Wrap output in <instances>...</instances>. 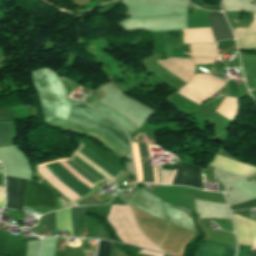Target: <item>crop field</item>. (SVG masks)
Returning a JSON list of instances; mask_svg holds the SVG:
<instances>
[{
	"mask_svg": "<svg viewBox=\"0 0 256 256\" xmlns=\"http://www.w3.org/2000/svg\"><path fill=\"white\" fill-rule=\"evenodd\" d=\"M253 16H254V20L248 28H235L234 35L236 38L244 36L249 33L256 32V13H253Z\"/></svg>",
	"mask_w": 256,
	"mask_h": 256,
	"instance_id": "obj_24",
	"label": "crop field"
},
{
	"mask_svg": "<svg viewBox=\"0 0 256 256\" xmlns=\"http://www.w3.org/2000/svg\"><path fill=\"white\" fill-rule=\"evenodd\" d=\"M226 82L210 74L194 75L192 80L177 92L200 104L206 98L220 90Z\"/></svg>",
	"mask_w": 256,
	"mask_h": 256,
	"instance_id": "obj_5",
	"label": "crop field"
},
{
	"mask_svg": "<svg viewBox=\"0 0 256 256\" xmlns=\"http://www.w3.org/2000/svg\"><path fill=\"white\" fill-rule=\"evenodd\" d=\"M57 230H69L70 236L72 234V226L70 219V208L55 211ZM54 212L44 215L46 230H56Z\"/></svg>",
	"mask_w": 256,
	"mask_h": 256,
	"instance_id": "obj_12",
	"label": "crop field"
},
{
	"mask_svg": "<svg viewBox=\"0 0 256 256\" xmlns=\"http://www.w3.org/2000/svg\"><path fill=\"white\" fill-rule=\"evenodd\" d=\"M192 61L195 64H212L213 63V59H199V58H193Z\"/></svg>",
	"mask_w": 256,
	"mask_h": 256,
	"instance_id": "obj_27",
	"label": "crop field"
},
{
	"mask_svg": "<svg viewBox=\"0 0 256 256\" xmlns=\"http://www.w3.org/2000/svg\"><path fill=\"white\" fill-rule=\"evenodd\" d=\"M238 243L252 245L256 238V221L233 215Z\"/></svg>",
	"mask_w": 256,
	"mask_h": 256,
	"instance_id": "obj_11",
	"label": "crop field"
},
{
	"mask_svg": "<svg viewBox=\"0 0 256 256\" xmlns=\"http://www.w3.org/2000/svg\"><path fill=\"white\" fill-rule=\"evenodd\" d=\"M208 17L215 41L233 38L222 13L212 12V15H208Z\"/></svg>",
	"mask_w": 256,
	"mask_h": 256,
	"instance_id": "obj_14",
	"label": "crop field"
},
{
	"mask_svg": "<svg viewBox=\"0 0 256 256\" xmlns=\"http://www.w3.org/2000/svg\"><path fill=\"white\" fill-rule=\"evenodd\" d=\"M63 164L71 168L73 171L81 175L83 178L91 182L93 185H96L97 182L94 178H92L89 174H87L84 170L78 168L75 164H73L69 160H61ZM59 161L51 162L43 164L50 170H52L54 173H56L58 176L63 178L65 181L70 183L72 186H74L76 189L81 191L83 194H88L92 190L93 186L91 183L83 179L81 176L73 172L71 169L63 165ZM38 172L56 189L61 191L63 194L68 196L73 202L79 200L80 198L84 197L74 189H72L70 186L62 182L60 179L55 177L53 174L45 170L43 167L39 166L37 168Z\"/></svg>",
	"mask_w": 256,
	"mask_h": 256,
	"instance_id": "obj_2",
	"label": "crop field"
},
{
	"mask_svg": "<svg viewBox=\"0 0 256 256\" xmlns=\"http://www.w3.org/2000/svg\"><path fill=\"white\" fill-rule=\"evenodd\" d=\"M23 205L28 208L42 205L55 210L56 193L39 183L27 180Z\"/></svg>",
	"mask_w": 256,
	"mask_h": 256,
	"instance_id": "obj_6",
	"label": "crop field"
},
{
	"mask_svg": "<svg viewBox=\"0 0 256 256\" xmlns=\"http://www.w3.org/2000/svg\"><path fill=\"white\" fill-rule=\"evenodd\" d=\"M77 151H79L81 154H83L85 157H87L89 160L94 162L96 165H98L100 168L105 170L110 175L117 169L116 167L106 162L104 159L98 156L95 152H93L91 149L87 148L84 145H81V147ZM70 160L73 161L78 166H80L81 168H83L88 173H90L96 179L100 180L103 178L100 174H98L93 169L88 167L86 164H84L82 161L77 159L75 156L72 155Z\"/></svg>",
	"mask_w": 256,
	"mask_h": 256,
	"instance_id": "obj_8",
	"label": "crop field"
},
{
	"mask_svg": "<svg viewBox=\"0 0 256 256\" xmlns=\"http://www.w3.org/2000/svg\"><path fill=\"white\" fill-rule=\"evenodd\" d=\"M138 253H142V254H146V255H150V256H163V255L152 253V252L145 251V250L138 251ZM138 253H137V256H146V255H142V254H138Z\"/></svg>",
	"mask_w": 256,
	"mask_h": 256,
	"instance_id": "obj_29",
	"label": "crop field"
},
{
	"mask_svg": "<svg viewBox=\"0 0 256 256\" xmlns=\"http://www.w3.org/2000/svg\"><path fill=\"white\" fill-rule=\"evenodd\" d=\"M199 169V167L180 162L172 185H187L200 189Z\"/></svg>",
	"mask_w": 256,
	"mask_h": 256,
	"instance_id": "obj_10",
	"label": "crop field"
},
{
	"mask_svg": "<svg viewBox=\"0 0 256 256\" xmlns=\"http://www.w3.org/2000/svg\"><path fill=\"white\" fill-rule=\"evenodd\" d=\"M238 48H256V34L237 39Z\"/></svg>",
	"mask_w": 256,
	"mask_h": 256,
	"instance_id": "obj_23",
	"label": "crop field"
},
{
	"mask_svg": "<svg viewBox=\"0 0 256 256\" xmlns=\"http://www.w3.org/2000/svg\"><path fill=\"white\" fill-rule=\"evenodd\" d=\"M44 71L45 82L50 90L56 115L58 118L67 120L72 106V101L71 99L67 98L65 90L60 83V81H64L65 79L58 77L54 71L48 68L44 67ZM31 80L39 98L44 121L47 122L55 118L56 116L49 90L44 82L43 68L32 71ZM58 118L46 124L92 136L93 138L100 141L105 146V148L114 152L122 158L130 153V151H128L130 150L128 137L126 136L124 131H122L118 125L114 124L108 118L104 117L86 104L82 107L73 105L68 120L97 128L105 132L111 138L115 139L118 143H120L124 148L128 150L124 149L115 140L111 139L106 134L97 129Z\"/></svg>",
	"mask_w": 256,
	"mask_h": 256,
	"instance_id": "obj_1",
	"label": "crop field"
},
{
	"mask_svg": "<svg viewBox=\"0 0 256 256\" xmlns=\"http://www.w3.org/2000/svg\"><path fill=\"white\" fill-rule=\"evenodd\" d=\"M74 236H80V231H88L84 207L71 208Z\"/></svg>",
	"mask_w": 256,
	"mask_h": 256,
	"instance_id": "obj_18",
	"label": "crop field"
},
{
	"mask_svg": "<svg viewBox=\"0 0 256 256\" xmlns=\"http://www.w3.org/2000/svg\"><path fill=\"white\" fill-rule=\"evenodd\" d=\"M236 247L204 241L196 256H235Z\"/></svg>",
	"mask_w": 256,
	"mask_h": 256,
	"instance_id": "obj_13",
	"label": "crop field"
},
{
	"mask_svg": "<svg viewBox=\"0 0 256 256\" xmlns=\"http://www.w3.org/2000/svg\"><path fill=\"white\" fill-rule=\"evenodd\" d=\"M138 144H140V148H141V154H142V161H143V167H144L145 181L147 182L146 173H145V165H144V157H143V151H142L141 144H143V147H144V153H145V159H146V165H147V173H148V180H149V182H150L149 168H148V162H147V152H146V148H145V143H138ZM131 146H132L133 156H134L136 178H137V181H138V182H143L142 173H141V166H142V165L140 166V159H141V157H140V159H139V153H138V146H137V143L131 144ZM139 152H140V151H139ZM149 167H150L151 179H152V182H154L151 164H149ZM153 170H154L155 183H157V181H156V172H155L154 165H153Z\"/></svg>",
	"mask_w": 256,
	"mask_h": 256,
	"instance_id": "obj_17",
	"label": "crop field"
},
{
	"mask_svg": "<svg viewBox=\"0 0 256 256\" xmlns=\"http://www.w3.org/2000/svg\"><path fill=\"white\" fill-rule=\"evenodd\" d=\"M15 137L16 132L14 122H0V146L13 145L12 139Z\"/></svg>",
	"mask_w": 256,
	"mask_h": 256,
	"instance_id": "obj_20",
	"label": "crop field"
},
{
	"mask_svg": "<svg viewBox=\"0 0 256 256\" xmlns=\"http://www.w3.org/2000/svg\"><path fill=\"white\" fill-rule=\"evenodd\" d=\"M122 255H123V253L120 252L116 247H114V246L112 245L110 256H122Z\"/></svg>",
	"mask_w": 256,
	"mask_h": 256,
	"instance_id": "obj_28",
	"label": "crop field"
},
{
	"mask_svg": "<svg viewBox=\"0 0 256 256\" xmlns=\"http://www.w3.org/2000/svg\"><path fill=\"white\" fill-rule=\"evenodd\" d=\"M190 2H192V3H194L195 4V0H190ZM201 4H202V0H196V5L197 6H201Z\"/></svg>",
	"mask_w": 256,
	"mask_h": 256,
	"instance_id": "obj_31",
	"label": "crop field"
},
{
	"mask_svg": "<svg viewBox=\"0 0 256 256\" xmlns=\"http://www.w3.org/2000/svg\"><path fill=\"white\" fill-rule=\"evenodd\" d=\"M184 44L187 43H215L210 28L181 30Z\"/></svg>",
	"mask_w": 256,
	"mask_h": 256,
	"instance_id": "obj_16",
	"label": "crop field"
},
{
	"mask_svg": "<svg viewBox=\"0 0 256 256\" xmlns=\"http://www.w3.org/2000/svg\"><path fill=\"white\" fill-rule=\"evenodd\" d=\"M26 180L5 176L6 206L9 209H20L22 207Z\"/></svg>",
	"mask_w": 256,
	"mask_h": 256,
	"instance_id": "obj_7",
	"label": "crop field"
},
{
	"mask_svg": "<svg viewBox=\"0 0 256 256\" xmlns=\"http://www.w3.org/2000/svg\"><path fill=\"white\" fill-rule=\"evenodd\" d=\"M107 220L120 241L162 252L141 233L128 206L112 205Z\"/></svg>",
	"mask_w": 256,
	"mask_h": 256,
	"instance_id": "obj_4",
	"label": "crop field"
},
{
	"mask_svg": "<svg viewBox=\"0 0 256 256\" xmlns=\"http://www.w3.org/2000/svg\"><path fill=\"white\" fill-rule=\"evenodd\" d=\"M225 14H226V18L228 19L231 27H235V25H234V23L236 24L235 19H233V21H234V23H233L231 18H239L240 12H225Z\"/></svg>",
	"mask_w": 256,
	"mask_h": 256,
	"instance_id": "obj_26",
	"label": "crop field"
},
{
	"mask_svg": "<svg viewBox=\"0 0 256 256\" xmlns=\"http://www.w3.org/2000/svg\"><path fill=\"white\" fill-rule=\"evenodd\" d=\"M87 219H88V226H89V237L104 238V239L110 240V237L105 227H103L100 223H98L93 218L87 217Z\"/></svg>",
	"mask_w": 256,
	"mask_h": 256,
	"instance_id": "obj_22",
	"label": "crop field"
},
{
	"mask_svg": "<svg viewBox=\"0 0 256 256\" xmlns=\"http://www.w3.org/2000/svg\"><path fill=\"white\" fill-rule=\"evenodd\" d=\"M88 104H90L95 109H97L101 113L105 114L112 120L116 121L127 132L129 137L137 130L130 122H128L126 119H124L118 113L113 111L108 106L102 104L98 100L94 99V100L88 102Z\"/></svg>",
	"mask_w": 256,
	"mask_h": 256,
	"instance_id": "obj_15",
	"label": "crop field"
},
{
	"mask_svg": "<svg viewBox=\"0 0 256 256\" xmlns=\"http://www.w3.org/2000/svg\"><path fill=\"white\" fill-rule=\"evenodd\" d=\"M175 172H176V171H175ZM175 172H174V174H175ZM173 177H174V175H173ZM172 180H173V178H172ZM172 180H171V183H172ZM171 183H170V184H171Z\"/></svg>",
	"mask_w": 256,
	"mask_h": 256,
	"instance_id": "obj_32",
	"label": "crop field"
},
{
	"mask_svg": "<svg viewBox=\"0 0 256 256\" xmlns=\"http://www.w3.org/2000/svg\"><path fill=\"white\" fill-rule=\"evenodd\" d=\"M254 249H256V240H255L253 246L251 247V250H254ZM251 253H252V256H256V250L251 251Z\"/></svg>",
	"mask_w": 256,
	"mask_h": 256,
	"instance_id": "obj_30",
	"label": "crop field"
},
{
	"mask_svg": "<svg viewBox=\"0 0 256 256\" xmlns=\"http://www.w3.org/2000/svg\"><path fill=\"white\" fill-rule=\"evenodd\" d=\"M156 63L186 83L190 80L194 72V64L190 59L170 58L168 60H157Z\"/></svg>",
	"mask_w": 256,
	"mask_h": 256,
	"instance_id": "obj_9",
	"label": "crop field"
},
{
	"mask_svg": "<svg viewBox=\"0 0 256 256\" xmlns=\"http://www.w3.org/2000/svg\"><path fill=\"white\" fill-rule=\"evenodd\" d=\"M192 57H210V58H219L216 44H190V54L184 53Z\"/></svg>",
	"mask_w": 256,
	"mask_h": 256,
	"instance_id": "obj_19",
	"label": "crop field"
},
{
	"mask_svg": "<svg viewBox=\"0 0 256 256\" xmlns=\"http://www.w3.org/2000/svg\"><path fill=\"white\" fill-rule=\"evenodd\" d=\"M215 111L232 120L236 116L237 99L225 97L220 107Z\"/></svg>",
	"mask_w": 256,
	"mask_h": 256,
	"instance_id": "obj_21",
	"label": "crop field"
},
{
	"mask_svg": "<svg viewBox=\"0 0 256 256\" xmlns=\"http://www.w3.org/2000/svg\"><path fill=\"white\" fill-rule=\"evenodd\" d=\"M127 202L142 210L184 229L195 231L190 210L167 204L156 198L149 191L133 188ZM196 232V231H195Z\"/></svg>",
	"mask_w": 256,
	"mask_h": 256,
	"instance_id": "obj_3",
	"label": "crop field"
},
{
	"mask_svg": "<svg viewBox=\"0 0 256 256\" xmlns=\"http://www.w3.org/2000/svg\"><path fill=\"white\" fill-rule=\"evenodd\" d=\"M110 246H111V242L100 240L97 256H109Z\"/></svg>",
	"mask_w": 256,
	"mask_h": 256,
	"instance_id": "obj_25",
	"label": "crop field"
}]
</instances>
